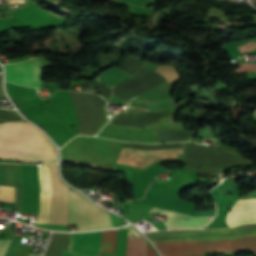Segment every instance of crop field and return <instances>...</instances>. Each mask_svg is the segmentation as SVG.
Here are the masks:
<instances>
[{
  "label": "crop field",
  "mask_w": 256,
  "mask_h": 256,
  "mask_svg": "<svg viewBox=\"0 0 256 256\" xmlns=\"http://www.w3.org/2000/svg\"><path fill=\"white\" fill-rule=\"evenodd\" d=\"M152 241L230 240L245 235H256V225H245L226 230H195L178 232H146ZM163 256H199L205 252L252 250L256 253V236L230 241L153 242Z\"/></svg>",
  "instance_id": "1"
},
{
  "label": "crop field",
  "mask_w": 256,
  "mask_h": 256,
  "mask_svg": "<svg viewBox=\"0 0 256 256\" xmlns=\"http://www.w3.org/2000/svg\"><path fill=\"white\" fill-rule=\"evenodd\" d=\"M0 159L57 162V152L54 144L30 123H4L0 124Z\"/></svg>",
  "instance_id": "2"
},
{
  "label": "crop field",
  "mask_w": 256,
  "mask_h": 256,
  "mask_svg": "<svg viewBox=\"0 0 256 256\" xmlns=\"http://www.w3.org/2000/svg\"><path fill=\"white\" fill-rule=\"evenodd\" d=\"M185 165L189 168L213 167L224 170L229 166L249 165L233 151L225 149H207L183 143Z\"/></svg>",
  "instance_id": "3"
},
{
  "label": "crop field",
  "mask_w": 256,
  "mask_h": 256,
  "mask_svg": "<svg viewBox=\"0 0 256 256\" xmlns=\"http://www.w3.org/2000/svg\"><path fill=\"white\" fill-rule=\"evenodd\" d=\"M52 201L50 224L67 225L69 186L58 176L57 164H49Z\"/></svg>",
  "instance_id": "4"
},
{
  "label": "crop field",
  "mask_w": 256,
  "mask_h": 256,
  "mask_svg": "<svg viewBox=\"0 0 256 256\" xmlns=\"http://www.w3.org/2000/svg\"><path fill=\"white\" fill-rule=\"evenodd\" d=\"M182 153L183 148L145 149L125 147L119 162L137 167H144L158 158L175 157V154Z\"/></svg>",
  "instance_id": "5"
},
{
  "label": "crop field",
  "mask_w": 256,
  "mask_h": 256,
  "mask_svg": "<svg viewBox=\"0 0 256 256\" xmlns=\"http://www.w3.org/2000/svg\"><path fill=\"white\" fill-rule=\"evenodd\" d=\"M4 67L6 69V80L26 86L40 87L41 65L39 58L17 64L4 65Z\"/></svg>",
  "instance_id": "6"
},
{
  "label": "crop field",
  "mask_w": 256,
  "mask_h": 256,
  "mask_svg": "<svg viewBox=\"0 0 256 256\" xmlns=\"http://www.w3.org/2000/svg\"><path fill=\"white\" fill-rule=\"evenodd\" d=\"M150 213L168 216L166 225L170 230L203 228L213 217H192L153 208Z\"/></svg>",
  "instance_id": "7"
},
{
  "label": "crop field",
  "mask_w": 256,
  "mask_h": 256,
  "mask_svg": "<svg viewBox=\"0 0 256 256\" xmlns=\"http://www.w3.org/2000/svg\"><path fill=\"white\" fill-rule=\"evenodd\" d=\"M226 223L230 227L256 223V199L237 200L226 217Z\"/></svg>",
  "instance_id": "8"
},
{
  "label": "crop field",
  "mask_w": 256,
  "mask_h": 256,
  "mask_svg": "<svg viewBox=\"0 0 256 256\" xmlns=\"http://www.w3.org/2000/svg\"><path fill=\"white\" fill-rule=\"evenodd\" d=\"M101 231L94 233H72L69 251L81 255L97 256Z\"/></svg>",
  "instance_id": "9"
},
{
  "label": "crop field",
  "mask_w": 256,
  "mask_h": 256,
  "mask_svg": "<svg viewBox=\"0 0 256 256\" xmlns=\"http://www.w3.org/2000/svg\"><path fill=\"white\" fill-rule=\"evenodd\" d=\"M194 135V131L156 130L154 143L188 141Z\"/></svg>",
  "instance_id": "10"
},
{
  "label": "crop field",
  "mask_w": 256,
  "mask_h": 256,
  "mask_svg": "<svg viewBox=\"0 0 256 256\" xmlns=\"http://www.w3.org/2000/svg\"><path fill=\"white\" fill-rule=\"evenodd\" d=\"M71 234L53 233L44 256H61L63 250L68 251Z\"/></svg>",
  "instance_id": "11"
},
{
  "label": "crop field",
  "mask_w": 256,
  "mask_h": 256,
  "mask_svg": "<svg viewBox=\"0 0 256 256\" xmlns=\"http://www.w3.org/2000/svg\"><path fill=\"white\" fill-rule=\"evenodd\" d=\"M117 230L102 231L99 253L114 255L116 247Z\"/></svg>",
  "instance_id": "12"
},
{
  "label": "crop field",
  "mask_w": 256,
  "mask_h": 256,
  "mask_svg": "<svg viewBox=\"0 0 256 256\" xmlns=\"http://www.w3.org/2000/svg\"><path fill=\"white\" fill-rule=\"evenodd\" d=\"M126 256H146V239L128 237Z\"/></svg>",
  "instance_id": "13"
},
{
  "label": "crop field",
  "mask_w": 256,
  "mask_h": 256,
  "mask_svg": "<svg viewBox=\"0 0 256 256\" xmlns=\"http://www.w3.org/2000/svg\"><path fill=\"white\" fill-rule=\"evenodd\" d=\"M0 119L8 121H22L24 120L20 114L14 110H0Z\"/></svg>",
  "instance_id": "14"
},
{
  "label": "crop field",
  "mask_w": 256,
  "mask_h": 256,
  "mask_svg": "<svg viewBox=\"0 0 256 256\" xmlns=\"http://www.w3.org/2000/svg\"><path fill=\"white\" fill-rule=\"evenodd\" d=\"M0 200L14 202V188L0 186Z\"/></svg>",
  "instance_id": "15"
},
{
  "label": "crop field",
  "mask_w": 256,
  "mask_h": 256,
  "mask_svg": "<svg viewBox=\"0 0 256 256\" xmlns=\"http://www.w3.org/2000/svg\"><path fill=\"white\" fill-rule=\"evenodd\" d=\"M236 73L250 71L256 72V64L253 63H241L238 68L234 69Z\"/></svg>",
  "instance_id": "16"
},
{
  "label": "crop field",
  "mask_w": 256,
  "mask_h": 256,
  "mask_svg": "<svg viewBox=\"0 0 256 256\" xmlns=\"http://www.w3.org/2000/svg\"><path fill=\"white\" fill-rule=\"evenodd\" d=\"M238 48H239V51H240L241 54L246 53V52L252 50V47H251L250 43H247V44H244L242 46H239Z\"/></svg>",
  "instance_id": "17"
},
{
  "label": "crop field",
  "mask_w": 256,
  "mask_h": 256,
  "mask_svg": "<svg viewBox=\"0 0 256 256\" xmlns=\"http://www.w3.org/2000/svg\"><path fill=\"white\" fill-rule=\"evenodd\" d=\"M147 256H157L150 244H147Z\"/></svg>",
  "instance_id": "18"
},
{
  "label": "crop field",
  "mask_w": 256,
  "mask_h": 256,
  "mask_svg": "<svg viewBox=\"0 0 256 256\" xmlns=\"http://www.w3.org/2000/svg\"><path fill=\"white\" fill-rule=\"evenodd\" d=\"M251 43H252L254 49H256V42H251Z\"/></svg>",
  "instance_id": "19"
},
{
  "label": "crop field",
  "mask_w": 256,
  "mask_h": 256,
  "mask_svg": "<svg viewBox=\"0 0 256 256\" xmlns=\"http://www.w3.org/2000/svg\"><path fill=\"white\" fill-rule=\"evenodd\" d=\"M253 117H256V112L254 113Z\"/></svg>",
  "instance_id": "20"
},
{
  "label": "crop field",
  "mask_w": 256,
  "mask_h": 256,
  "mask_svg": "<svg viewBox=\"0 0 256 256\" xmlns=\"http://www.w3.org/2000/svg\"><path fill=\"white\" fill-rule=\"evenodd\" d=\"M32 254V253H31ZM35 255H37V254H35ZM39 256H41V255H39Z\"/></svg>",
  "instance_id": "21"
}]
</instances>
